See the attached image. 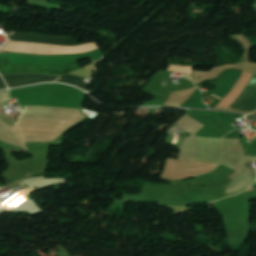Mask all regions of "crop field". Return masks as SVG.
<instances>
[{"instance_id":"8a807250","label":"crop field","mask_w":256,"mask_h":256,"mask_svg":"<svg viewBox=\"0 0 256 256\" xmlns=\"http://www.w3.org/2000/svg\"><path fill=\"white\" fill-rule=\"evenodd\" d=\"M7 81L9 87L22 86L40 83L43 81H59L76 85L87 91L89 83H83L84 78L67 74L63 77L45 76L38 74H25V75H2Z\"/></svg>"},{"instance_id":"ac0d7876","label":"crop field","mask_w":256,"mask_h":256,"mask_svg":"<svg viewBox=\"0 0 256 256\" xmlns=\"http://www.w3.org/2000/svg\"><path fill=\"white\" fill-rule=\"evenodd\" d=\"M80 68L78 62L62 66H35V65H17L0 63L1 74H20V73H44L51 75H64Z\"/></svg>"},{"instance_id":"34b2d1b8","label":"crop field","mask_w":256,"mask_h":256,"mask_svg":"<svg viewBox=\"0 0 256 256\" xmlns=\"http://www.w3.org/2000/svg\"><path fill=\"white\" fill-rule=\"evenodd\" d=\"M13 40L46 42V43L62 44V45H79L74 40L73 37L38 34V33L14 32Z\"/></svg>"},{"instance_id":"412701ff","label":"crop field","mask_w":256,"mask_h":256,"mask_svg":"<svg viewBox=\"0 0 256 256\" xmlns=\"http://www.w3.org/2000/svg\"><path fill=\"white\" fill-rule=\"evenodd\" d=\"M235 110H256V88L246 86L242 94L229 106Z\"/></svg>"},{"instance_id":"f4fd0767","label":"crop field","mask_w":256,"mask_h":256,"mask_svg":"<svg viewBox=\"0 0 256 256\" xmlns=\"http://www.w3.org/2000/svg\"><path fill=\"white\" fill-rule=\"evenodd\" d=\"M192 67L186 66H169L167 71L171 72H183V73H190Z\"/></svg>"},{"instance_id":"dd49c442","label":"crop field","mask_w":256,"mask_h":256,"mask_svg":"<svg viewBox=\"0 0 256 256\" xmlns=\"http://www.w3.org/2000/svg\"><path fill=\"white\" fill-rule=\"evenodd\" d=\"M6 88V86L4 85V83L2 82L1 78H0V89H4Z\"/></svg>"}]
</instances>
